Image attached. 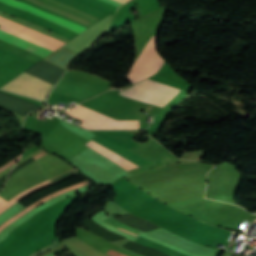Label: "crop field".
Listing matches in <instances>:
<instances>
[{
    "label": "crop field",
    "instance_id": "22f410ed",
    "mask_svg": "<svg viewBox=\"0 0 256 256\" xmlns=\"http://www.w3.org/2000/svg\"><path fill=\"white\" fill-rule=\"evenodd\" d=\"M20 155H21V154H20ZM20 155H19V156H20ZM19 156H17L16 158H14V159H13L12 161H10L8 164L2 166V167L0 168V171L6 169V168H8L9 166H11L12 164L16 163V161H17V159L19 158Z\"/></svg>",
    "mask_w": 256,
    "mask_h": 256
},
{
    "label": "crop field",
    "instance_id": "d1516ede",
    "mask_svg": "<svg viewBox=\"0 0 256 256\" xmlns=\"http://www.w3.org/2000/svg\"><path fill=\"white\" fill-rule=\"evenodd\" d=\"M99 1H102V2H104V3H107V4L111 5V6L116 7V8L119 7L120 5H123V4H124V2L121 1V0H111V1H113V2H116V3L120 4V5H118V4H116V3H113V2H111V1H108V0H99Z\"/></svg>",
    "mask_w": 256,
    "mask_h": 256
},
{
    "label": "crop field",
    "instance_id": "5a996713",
    "mask_svg": "<svg viewBox=\"0 0 256 256\" xmlns=\"http://www.w3.org/2000/svg\"><path fill=\"white\" fill-rule=\"evenodd\" d=\"M49 199H51V195H49V196L46 197L45 199H43V200H41V201L35 203L34 205L28 207L27 209H25V210L22 211L21 213L15 215L14 217L8 219L6 222H4V223L0 226V231H1L7 224H9L10 222H12V221L15 220L16 218L20 217L21 215H23L24 213H26V212L29 211L30 209H32V208L38 206L39 204H41V203H43V202H45V201H47V200H49Z\"/></svg>",
    "mask_w": 256,
    "mask_h": 256
},
{
    "label": "crop field",
    "instance_id": "8a807250",
    "mask_svg": "<svg viewBox=\"0 0 256 256\" xmlns=\"http://www.w3.org/2000/svg\"><path fill=\"white\" fill-rule=\"evenodd\" d=\"M180 91L181 89L146 79L118 94L163 107Z\"/></svg>",
    "mask_w": 256,
    "mask_h": 256
},
{
    "label": "crop field",
    "instance_id": "cbeb9de0",
    "mask_svg": "<svg viewBox=\"0 0 256 256\" xmlns=\"http://www.w3.org/2000/svg\"><path fill=\"white\" fill-rule=\"evenodd\" d=\"M107 254L112 255V256H125V255H123V254L117 253V252L112 251V250H110L109 252H107Z\"/></svg>",
    "mask_w": 256,
    "mask_h": 256
},
{
    "label": "crop field",
    "instance_id": "dd49c442",
    "mask_svg": "<svg viewBox=\"0 0 256 256\" xmlns=\"http://www.w3.org/2000/svg\"><path fill=\"white\" fill-rule=\"evenodd\" d=\"M0 2L8 4V5L13 6V7H16L20 10L26 11L28 13H31V14L36 15L38 17H41L43 19H46V20H48V21H50L54 24H57V25L62 26L64 28L70 29V30L75 31L77 33H81L83 30L86 29V28H84L80 25H77V24L73 23V22H70L68 20H65L63 18H60V17L52 15V14L46 13V12L41 11L39 9H36V8L30 6V5L21 3L17 0H0Z\"/></svg>",
    "mask_w": 256,
    "mask_h": 256
},
{
    "label": "crop field",
    "instance_id": "34b2d1b8",
    "mask_svg": "<svg viewBox=\"0 0 256 256\" xmlns=\"http://www.w3.org/2000/svg\"><path fill=\"white\" fill-rule=\"evenodd\" d=\"M81 106V105H79ZM76 106L72 109L65 111L66 113L84 120L83 123L79 126L87 129H139L138 120L134 121H112L106 117H103L95 112L89 111L87 109ZM83 107V106H82ZM91 110V109H90ZM105 116V115H104Z\"/></svg>",
    "mask_w": 256,
    "mask_h": 256
},
{
    "label": "crop field",
    "instance_id": "f4fd0767",
    "mask_svg": "<svg viewBox=\"0 0 256 256\" xmlns=\"http://www.w3.org/2000/svg\"><path fill=\"white\" fill-rule=\"evenodd\" d=\"M51 87L52 84L24 72L1 89L44 100Z\"/></svg>",
    "mask_w": 256,
    "mask_h": 256
},
{
    "label": "crop field",
    "instance_id": "d8731c3e",
    "mask_svg": "<svg viewBox=\"0 0 256 256\" xmlns=\"http://www.w3.org/2000/svg\"><path fill=\"white\" fill-rule=\"evenodd\" d=\"M48 185H50V182L47 180V181H45V182H43V183H41V184H39V185H37V186H35L33 188H30V189L20 193L19 195H17L16 197L12 198L7 203H5L3 206H1L0 207V213L2 211H4L6 208H8L10 205H12L14 202H16L18 199H20V198H22V197H24V196H26V195L36 191V190H38V189H40L42 187L48 186Z\"/></svg>",
    "mask_w": 256,
    "mask_h": 256
},
{
    "label": "crop field",
    "instance_id": "28ad6ade",
    "mask_svg": "<svg viewBox=\"0 0 256 256\" xmlns=\"http://www.w3.org/2000/svg\"><path fill=\"white\" fill-rule=\"evenodd\" d=\"M87 182H88V181H85V182L76 184V185H74V186H71V187H69V188H66V189H64V190L55 192V193H53V197H55V196H57V195H59V194H61V193H64V192H66V191H68V190L75 189V188H78V187H81V186H85V185H89V183H87Z\"/></svg>",
    "mask_w": 256,
    "mask_h": 256
},
{
    "label": "crop field",
    "instance_id": "3316defc",
    "mask_svg": "<svg viewBox=\"0 0 256 256\" xmlns=\"http://www.w3.org/2000/svg\"><path fill=\"white\" fill-rule=\"evenodd\" d=\"M103 222H105V223H107V224H110V225H112V226H115V227H117V228H119V229L124 228V229L129 230V231H131V232H134V233H136V234L139 233V231H137V230H135V229H133V228H130V227H128V226L122 225V224H120V223H118V222H116V221H114V220H112V219H110V218L104 220ZM124 229H122V230H124ZM126 230H125V231H126ZM129 231H127V232H129ZM131 232H130V233H131ZM134 233H132V234H134ZM136 234H134V235H136Z\"/></svg>",
    "mask_w": 256,
    "mask_h": 256
},
{
    "label": "crop field",
    "instance_id": "412701ff",
    "mask_svg": "<svg viewBox=\"0 0 256 256\" xmlns=\"http://www.w3.org/2000/svg\"><path fill=\"white\" fill-rule=\"evenodd\" d=\"M163 63V59L156 52L153 36L132 66L128 78L133 84L139 82L157 72Z\"/></svg>",
    "mask_w": 256,
    "mask_h": 256
},
{
    "label": "crop field",
    "instance_id": "ac0d7876",
    "mask_svg": "<svg viewBox=\"0 0 256 256\" xmlns=\"http://www.w3.org/2000/svg\"><path fill=\"white\" fill-rule=\"evenodd\" d=\"M0 20L1 21H3V22H6V23H8V24H11V25H13V26H15V27H18V28H20V29H22V30H25V31H27V32H29V33H32V34H34V35H37V36H39V37H41V38H44V39H46V40H48V41H51V42H53V43H56V44H58V45H60V46H62V45H64V43H62V42H60V41H57V40H55V39H53V38H50V37H48V36H45V35H43V34H41V33H38V32H36V31H34V30H31V29H29V28H27V27H24V26H22V25H19V24H17V23H15V22H12V21H10V20H8V19H5V18H3V17H1L0 16ZM0 21V25H2V26H4V27H7V28H9V29H12V30H14V31H17V32H19V33H22V34H24V35H27V36H29V37H31V38H34V39H36V40H39V41H41V42H44V43H46V44H49V45H51V46H54V47H56V48H59L60 46H58V45H56V44H53V43H51V42H48V41H46V40H44V39H41V38H39V37H37V36H34V35H32V34H29V33H27V32H25V31H22V30H20V29H18V28H15V27H13V26H11V25H8V24H6V23H3V22H1ZM2 26H0V29L1 30H4V31H6V32H8V33H11V34H13V35H16V36H18V37H21V38H23V39H26V40H28V41H30V42H33V43H35V44H38V45H40V46H43V47H45V48H47V49H50V50H52V51H54V50H56V48H54V47H51V46H49V45H46V44H44V43H41V42H39V41H36V40H34V39H31V38H29V37H27V36H24V35H22V34H19V33H17V32H14V31H12V30H9V29H7V28H4V27H2ZM0 30V31H1ZM4 31H2V32H4ZM1 32V33H2ZM6 32H4V33H6ZM0 33V34H1ZM3 33V34H4ZM8 33H6V34H8ZM2 34V35H3ZM5 34V35H6ZM11 34H9V35H11ZM2 35H0V39L1 40H3V41H6V42H8V43H11V44H13V45H16V46H18V47H21V48H23V49H26V50H28V51H31V52H33V53H36V54H38V55H41V56H43V57H45V56H47L50 52H52V51H50V50H48V51H50L48 54H46V53H43L45 50H47V49H45V48H43V47H41V48H43V49H45L43 52H41V51H39V50H36L38 47H40V46H38V45H36V46H38L36 49H34V48H31L33 45H35V44H33V43H31V44H33L31 47H29V46H26L28 43H30V42H28V41H26V42H28L26 45H24V44H21V43H19L21 40H23V39H21V38H19V39H21L19 42H17V41H14L16 38H18V37H16V36H14V37H16L14 40H12V39H9L11 36H13V35H11L9 38H7V37H4V36H2ZM25 41V40H24Z\"/></svg>",
    "mask_w": 256,
    "mask_h": 256
},
{
    "label": "crop field",
    "instance_id": "e52e79f7",
    "mask_svg": "<svg viewBox=\"0 0 256 256\" xmlns=\"http://www.w3.org/2000/svg\"><path fill=\"white\" fill-rule=\"evenodd\" d=\"M85 145L89 146L90 148H92L95 151L99 152L100 154L104 155L105 157H107L108 159H110L111 161H113L114 163H116L118 166H120L121 168H123L126 171L138 167V166L134 165L133 163H131L130 161L114 154L113 152H111V151L105 149L104 147L100 146L99 144L93 142L92 140Z\"/></svg>",
    "mask_w": 256,
    "mask_h": 256
}]
</instances>
